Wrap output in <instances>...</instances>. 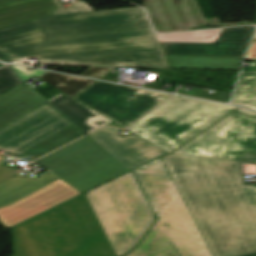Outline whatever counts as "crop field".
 <instances>
[{
  "label": "crop field",
  "instance_id": "obj_25",
  "mask_svg": "<svg viewBox=\"0 0 256 256\" xmlns=\"http://www.w3.org/2000/svg\"><path fill=\"white\" fill-rule=\"evenodd\" d=\"M244 256H256V253L248 254V255H244Z\"/></svg>",
  "mask_w": 256,
  "mask_h": 256
},
{
  "label": "crop field",
  "instance_id": "obj_21",
  "mask_svg": "<svg viewBox=\"0 0 256 256\" xmlns=\"http://www.w3.org/2000/svg\"><path fill=\"white\" fill-rule=\"evenodd\" d=\"M113 68L114 67L91 66L87 71L82 73L81 76L99 79Z\"/></svg>",
  "mask_w": 256,
  "mask_h": 256
},
{
  "label": "crop field",
  "instance_id": "obj_8",
  "mask_svg": "<svg viewBox=\"0 0 256 256\" xmlns=\"http://www.w3.org/2000/svg\"><path fill=\"white\" fill-rule=\"evenodd\" d=\"M174 153L256 163V114L239 108Z\"/></svg>",
  "mask_w": 256,
  "mask_h": 256
},
{
  "label": "crop field",
  "instance_id": "obj_24",
  "mask_svg": "<svg viewBox=\"0 0 256 256\" xmlns=\"http://www.w3.org/2000/svg\"><path fill=\"white\" fill-rule=\"evenodd\" d=\"M7 59H8V56H6V55L0 53V60L7 62Z\"/></svg>",
  "mask_w": 256,
  "mask_h": 256
},
{
  "label": "crop field",
  "instance_id": "obj_1",
  "mask_svg": "<svg viewBox=\"0 0 256 256\" xmlns=\"http://www.w3.org/2000/svg\"><path fill=\"white\" fill-rule=\"evenodd\" d=\"M0 50L38 64L169 68L141 7L46 16L2 29Z\"/></svg>",
  "mask_w": 256,
  "mask_h": 256
},
{
  "label": "crop field",
  "instance_id": "obj_6",
  "mask_svg": "<svg viewBox=\"0 0 256 256\" xmlns=\"http://www.w3.org/2000/svg\"><path fill=\"white\" fill-rule=\"evenodd\" d=\"M235 108L175 96L128 129L169 153Z\"/></svg>",
  "mask_w": 256,
  "mask_h": 256
},
{
  "label": "crop field",
  "instance_id": "obj_17",
  "mask_svg": "<svg viewBox=\"0 0 256 256\" xmlns=\"http://www.w3.org/2000/svg\"><path fill=\"white\" fill-rule=\"evenodd\" d=\"M39 79L45 81L71 97L94 82L93 80L75 78L50 72H47Z\"/></svg>",
  "mask_w": 256,
  "mask_h": 256
},
{
  "label": "crop field",
  "instance_id": "obj_2",
  "mask_svg": "<svg viewBox=\"0 0 256 256\" xmlns=\"http://www.w3.org/2000/svg\"><path fill=\"white\" fill-rule=\"evenodd\" d=\"M163 160L213 256L256 252V186L244 185L242 162Z\"/></svg>",
  "mask_w": 256,
  "mask_h": 256
},
{
  "label": "crop field",
  "instance_id": "obj_12",
  "mask_svg": "<svg viewBox=\"0 0 256 256\" xmlns=\"http://www.w3.org/2000/svg\"><path fill=\"white\" fill-rule=\"evenodd\" d=\"M118 129L106 127L89 135L128 169L132 170L164 154L160 148L137 137L122 138L115 133Z\"/></svg>",
  "mask_w": 256,
  "mask_h": 256
},
{
  "label": "crop field",
  "instance_id": "obj_16",
  "mask_svg": "<svg viewBox=\"0 0 256 256\" xmlns=\"http://www.w3.org/2000/svg\"><path fill=\"white\" fill-rule=\"evenodd\" d=\"M231 103L256 111V72H241Z\"/></svg>",
  "mask_w": 256,
  "mask_h": 256
},
{
  "label": "crop field",
  "instance_id": "obj_23",
  "mask_svg": "<svg viewBox=\"0 0 256 256\" xmlns=\"http://www.w3.org/2000/svg\"><path fill=\"white\" fill-rule=\"evenodd\" d=\"M244 59L256 60V41H252Z\"/></svg>",
  "mask_w": 256,
  "mask_h": 256
},
{
  "label": "crop field",
  "instance_id": "obj_13",
  "mask_svg": "<svg viewBox=\"0 0 256 256\" xmlns=\"http://www.w3.org/2000/svg\"><path fill=\"white\" fill-rule=\"evenodd\" d=\"M94 11L84 1L63 8L58 0H0V29L53 14Z\"/></svg>",
  "mask_w": 256,
  "mask_h": 256
},
{
  "label": "crop field",
  "instance_id": "obj_7",
  "mask_svg": "<svg viewBox=\"0 0 256 256\" xmlns=\"http://www.w3.org/2000/svg\"><path fill=\"white\" fill-rule=\"evenodd\" d=\"M85 192L129 172L87 136L35 161Z\"/></svg>",
  "mask_w": 256,
  "mask_h": 256
},
{
  "label": "crop field",
  "instance_id": "obj_20",
  "mask_svg": "<svg viewBox=\"0 0 256 256\" xmlns=\"http://www.w3.org/2000/svg\"><path fill=\"white\" fill-rule=\"evenodd\" d=\"M178 93L184 94V95H189V96H194V97H199V98H204V99H209V100H214V101H219V102H224V103L229 102L230 96L232 94L230 92L217 90V92L215 94L211 95V94H206L204 92V90H200V89H196L193 94L182 93V92H178Z\"/></svg>",
  "mask_w": 256,
  "mask_h": 256
},
{
  "label": "crop field",
  "instance_id": "obj_18",
  "mask_svg": "<svg viewBox=\"0 0 256 256\" xmlns=\"http://www.w3.org/2000/svg\"><path fill=\"white\" fill-rule=\"evenodd\" d=\"M221 29L156 35L159 42H214Z\"/></svg>",
  "mask_w": 256,
  "mask_h": 256
},
{
  "label": "crop field",
  "instance_id": "obj_3",
  "mask_svg": "<svg viewBox=\"0 0 256 256\" xmlns=\"http://www.w3.org/2000/svg\"><path fill=\"white\" fill-rule=\"evenodd\" d=\"M9 229L13 256H115L84 193Z\"/></svg>",
  "mask_w": 256,
  "mask_h": 256
},
{
  "label": "crop field",
  "instance_id": "obj_4",
  "mask_svg": "<svg viewBox=\"0 0 256 256\" xmlns=\"http://www.w3.org/2000/svg\"><path fill=\"white\" fill-rule=\"evenodd\" d=\"M134 172L157 221L125 256H212L162 159Z\"/></svg>",
  "mask_w": 256,
  "mask_h": 256
},
{
  "label": "crop field",
  "instance_id": "obj_11",
  "mask_svg": "<svg viewBox=\"0 0 256 256\" xmlns=\"http://www.w3.org/2000/svg\"><path fill=\"white\" fill-rule=\"evenodd\" d=\"M254 27L222 29L215 43H159L164 55L242 57Z\"/></svg>",
  "mask_w": 256,
  "mask_h": 256
},
{
  "label": "crop field",
  "instance_id": "obj_9",
  "mask_svg": "<svg viewBox=\"0 0 256 256\" xmlns=\"http://www.w3.org/2000/svg\"><path fill=\"white\" fill-rule=\"evenodd\" d=\"M171 94L96 81L75 95V100L112 122L128 127Z\"/></svg>",
  "mask_w": 256,
  "mask_h": 256
},
{
  "label": "crop field",
  "instance_id": "obj_14",
  "mask_svg": "<svg viewBox=\"0 0 256 256\" xmlns=\"http://www.w3.org/2000/svg\"><path fill=\"white\" fill-rule=\"evenodd\" d=\"M48 102L86 133L110 122V120L75 101L64 93Z\"/></svg>",
  "mask_w": 256,
  "mask_h": 256
},
{
  "label": "crop field",
  "instance_id": "obj_26",
  "mask_svg": "<svg viewBox=\"0 0 256 256\" xmlns=\"http://www.w3.org/2000/svg\"><path fill=\"white\" fill-rule=\"evenodd\" d=\"M252 40H256V32H255L254 37H253V39H252Z\"/></svg>",
  "mask_w": 256,
  "mask_h": 256
},
{
  "label": "crop field",
  "instance_id": "obj_10",
  "mask_svg": "<svg viewBox=\"0 0 256 256\" xmlns=\"http://www.w3.org/2000/svg\"><path fill=\"white\" fill-rule=\"evenodd\" d=\"M70 126L45 103L0 130V149L18 154Z\"/></svg>",
  "mask_w": 256,
  "mask_h": 256
},
{
  "label": "crop field",
  "instance_id": "obj_28",
  "mask_svg": "<svg viewBox=\"0 0 256 256\" xmlns=\"http://www.w3.org/2000/svg\"><path fill=\"white\" fill-rule=\"evenodd\" d=\"M0 66H1V64H0Z\"/></svg>",
  "mask_w": 256,
  "mask_h": 256
},
{
  "label": "crop field",
  "instance_id": "obj_15",
  "mask_svg": "<svg viewBox=\"0 0 256 256\" xmlns=\"http://www.w3.org/2000/svg\"><path fill=\"white\" fill-rule=\"evenodd\" d=\"M170 68L239 70L242 58L165 56Z\"/></svg>",
  "mask_w": 256,
  "mask_h": 256
},
{
  "label": "crop field",
  "instance_id": "obj_22",
  "mask_svg": "<svg viewBox=\"0 0 256 256\" xmlns=\"http://www.w3.org/2000/svg\"><path fill=\"white\" fill-rule=\"evenodd\" d=\"M12 67L14 68L16 74L18 75V77L24 82L34 76L30 75L29 73H27L26 71L22 70L21 68L12 65Z\"/></svg>",
  "mask_w": 256,
  "mask_h": 256
},
{
  "label": "crop field",
  "instance_id": "obj_27",
  "mask_svg": "<svg viewBox=\"0 0 256 256\" xmlns=\"http://www.w3.org/2000/svg\"><path fill=\"white\" fill-rule=\"evenodd\" d=\"M3 159V157L0 156V161Z\"/></svg>",
  "mask_w": 256,
  "mask_h": 256
},
{
  "label": "crop field",
  "instance_id": "obj_5",
  "mask_svg": "<svg viewBox=\"0 0 256 256\" xmlns=\"http://www.w3.org/2000/svg\"><path fill=\"white\" fill-rule=\"evenodd\" d=\"M85 195L116 256L134 247L155 219L131 172Z\"/></svg>",
  "mask_w": 256,
  "mask_h": 256
},
{
  "label": "crop field",
  "instance_id": "obj_19",
  "mask_svg": "<svg viewBox=\"0 0 256 256\" xmlns=\"http://www.w3.org/2000/svg\"><path fill=\"white\" fill-rule=\"evenodd\" d=\"M21 83L9 65L0 69V95Z\"/></svg>",
  "mask_w": 256,
  "mask_h": 256
}]
</instances>
